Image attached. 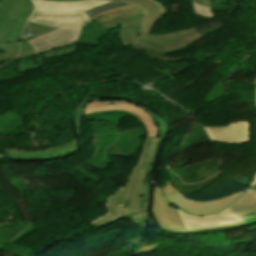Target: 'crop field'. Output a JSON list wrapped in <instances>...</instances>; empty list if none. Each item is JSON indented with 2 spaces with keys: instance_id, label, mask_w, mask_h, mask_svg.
<instances>
[{
  "instance_id": "19",
  "label": "crop field",
  "mask_w": 256,
  "mask_h": 256,
  "mask_svg": "<svg viewBox=\"0 0 256 256\" xmlns=\"http://www.w3.org/2000/svg\"><path fill=\"white\" fill-rule=\"evenodd\" d=\"M159 14H160V10L147 13L141 31L149 34L153 25L156 23V21L159 17Z\"/></svg>"
},
{
  "instance_id": "22",
  "label": "crop field",
  "mask_w": 256,
  "mask_h": 256,
  "mask_svg": "<svg viewBox=\"0 0 256 256\" xmlns=\"http://www.w3.org/2000/svg\"><path fill=\"white\" fill-rule=\"evenodd\" d=\"M91 100H102V99H92V98H89L87 100H84L82 103H80L76 109H75V122H76V127H77V133L78 135H80V121L83 117V112H82V107L83 105L88 102V101H91Z\"/></svg>"
},
{
  "instance_id": "26",
  "label": "crop field",
  "mask_w": 256,
  "mask_h": 256,
  "mask_svg": "<svg viewBox=\"0 0 256 256\" xmlns=\"http://www.w3.org/2000/svg\"><path fill=\"white\" fill-rule=\"evenodd\" d=\"M14 0H3L0 8V23L5 19Z\"/></svg>"
},
{
  "instance_id": "8",
  "label": "crop field",
  "mask_w": 256,
  "mask_h": 256,
  "mask_svg": "<svg viewBox=\"0 0 256 256\" xmlns=\"http://www.w3.org/2000/svg\"><path fill=\"white\" fill-rule=\"evenodd\" d=\"M80 35V28H58L42 36L28 40L37 53L74 43Z\"/></svg>"
},
{
  "instance_id": "5",
  "label": "crop field",
  "mask_w": 256,
  "mask_h": 256,
  "mask_svg": "<svg viewBox=\"0 0 256 256\" xmlns=\"http://www.w3.org/2000/svg\"><path fill=\"white\" fill-rule=\"evenodd\" d=\"M203 36L199 32H194L186 37L180 38L175 41L165 42V43H149L138 40V46L144 51L148 56L160 60L162 62H174L180 61L187 58L179 57H165L166 54L186 50L190 48L191 44L202 39Z\"/></svg>"
},
{
  "instance_id": "9",
  "label": "crop field",
  "mask_w": 256,
  "mask_h": 256,
  "mask_svg": "<svg viewBox=\"0 0 256 256\" xmlns=\"http://www.w3.org/2000/svg\"><path fill=\"white\" fill-rule=\"evenodd\" d=\"M212 141L223 143H245L249 141L248 122H237L222 127L207 128Z\"/></svg>"
},
{
  "instance_id": "17",
  "label": "crop field",
  "mask_w": 256,
  "mask_h": 256,
  "mask_svg": "<svg viewBox=\"0 0 256 256\" xmlns=\"http://www.w3.org/2000/svg\"><path fill=\"white\" fill-rule=\"evenodd\" d=\"M54 29H56V28L48 27V26H44V25H40V24H36V23L27 21L25 30H24V34H28L33 37H36V36L42 35L46 32L52 31Z\"/></svg>"
},
{
  "instance_id": "33",
  "label": "crop field",
  "mask_w": 256,
  "mask_h": 256,
  "mask_svg": "<svg viewBox=\"0 0 256 256\" xmlns=\"http://www.w3.org/2000/svg\"><path fill=\"white\" fill-rule=\"evenodd\" d=\"M254 184H256V175H255V177H254V179H253V181H252L250 187L253 186Z\"/></svg>"
},
{
  "instance_id": "10",
  "label": "crop field",
  "mask_w": 256,
  "mask_h": 256,
  "mask_svg": "<svg viewBox=\"0 0 256 256\" xmlns=\"http://www.w3.org/2000/svg\"><path fill=\"white\" fill-rule=\"evenodd\" d=\"M178 210V209H177ZM180 216L186 226L187 229L190 228H199V227H208L214 225H222V224H230L241 221L242 219L238 218L235 215H232L226 211L208 217H193L187 215L178 210Z\"/></svg>"
},
{
  "instance_id": "13",
  "label": "crop field",
  "mask_w": 256,
  "mask_h": 256,
  "mask_svg": "<svg viewBox=\"0 0 256 256\" xmlns=\"http://www.w3.org/2000/svg\"><path fill=\"white\" fill-rule=\"evenodd\" d=\"M144 15H145V13L139 14V15L130 16V17H125V18H122V19L112 20V21L104 23L103 26L111 29V28L121 24L122 27L120 29V39H121L123 45H125V46H129V45L136 46V44L132 43L129 40V38L127 36V31H128L130 26L142 22V19H143Z\"/></svg>"
},
{
  "instance_id": "20",
  "label": "crop field",
  "mask_w": 256,
  "mask_h": 256,
  "mask_svg": "<svg viewBox=\"0 0 256 256\" xmlns=\"http://www.w3.org/2000/svg\"><path fill=\"white\" fill-rule=\"evenodd\" d=\"M126 5H130V4L111 2V3H108L106 5L98 6V7H95L93 9H91V10L85 11V13L88 17L91 18V17L95 16L97 13H99L101 11H105V10H109V9H113V8H117V7H121V6H126Z\"/></svg>"
},
{
  "instance_id": "1",
  "label": "crop field",
  "mask_w": 256,
  "mask_h": 256,
  "mask_svg": "<svg viewBox=\"0 0 256 256\" xmlns=\"http://www.w3.org/2000/svg\"><path fill=\"white\" fill-rule=\"evenodd\" d=\"M36 9L29 21L36 23L72 28L81 27L91 21L83 11L94 6L106 4L102 0H84L76 2H51L44 0H33Z\"/></svg>"
},
{
  "instance_id": "29",
  "label": "crop field",
  "mask_w": 256,
  "mask_h": 256,
  "mask_svg": "<svg viewBox=\"0 0 256 256\" xmlns=\"http://www.w3.org/2000/svg\"><path fill=\"white\" fill-rule=\"evenodd\" d=\"M242 224H246V222L244 220H242L241 222L236 223V224L215 226V227H209V228H200V229H190L188 231H202V230H205V229H216V228L232 227V226H238V225H242Z\"/></svg>"
},
{
  "instance_id": "18",
  "label": "crop field",
  "mask_w": 256,
  "mask_h": 256,
  "mask_svg": "<svg viewBox=\"0 0 256 256\" xmlns=\"http://www.w3.org/2000/svg\"><path fill=\"white\" fill-rule=\"evenodd\" d=\"M19 46H20V41L4 43V45L1 47V49L4 50L6 53L0 54V62H4V61L10 60V59H13L15 56H17Z\"/></svg>"
},
{
  "instance_id": "16",
  "label": "crop field",
  "mask_w": 256,
  "mask_h": 256,
  "mask_svg": "<svg viewBox=\"0 0 256 256\" xmlns=\"http://www.w3.org/2000/svg\"><path fill=\"white\" fill-rule=\"evenodd\" d=\"M194 31L196 30L192 28L183 32H176L168 35H148V34L140 33L138 39L149 41V42H165V41L178 39Z\"/></svg>"
},
{
  "instance_id": "28",
  "label": "crop field",
  "mask_w": 256,
  "mask_h": 256,
  "mask_svg": "<svg viewBox=\"0 0 256 256\" xmlns=\"http://www.w3.org/2000/svg\"><path fill=\"white\" fill-rule=\"evenodd\" d=\"M179 191L176 187H174L169 181L166 186L163 187V193L165 198L175 192Z\"/></svg>"
},
{
  "instance_id": "12",
  "label": "crop field",
  "mask_w": 256,
  "mask_h": 256,
  "mask_svg": "<svg viewBox=\"0 0 256 256\" xmlns=\"http://www.w3.org/2000/svg\"><path fill=\"white\" fill-rule=\"evenodd\" d=\"M76 149V144L74 140L72 142L66 143L57 148H50L41 151H20V150H11V149H3L4 152L12 155V156H20V157H48V156H57L62 155L68 152H71Z\"/></svg>"
},
{
  "instance_id": "15",
  "label": "crop field",
  "mask_w": 256,
  "mask_h": 256,
  "mask_svg": "<svg viewBox=\"0 0 256 256\" xmlns=\"http://www.w3.org/2000/svg\"><path fill=\"white\" fill-rule=\"evenodd\" d=\"M160 244L161 243L151 245L138 234L126 244L124 248V252L129 256H135L139 253H144V252L150 253L156 250Z\"/></svg>"
},
{
  "instance_id": "32",
  "label": "crop field",
  "mask_w": 256,
  "mask_h": 256,
  "mask_svg": "<svg viewBox=\"0 0 256 256\" xmlns=\"http://www.w3.org/2000/svg\"><path fill=\"white\" fill-rule=\"evenodd\" d=\"M194 2H198L200 4H204V5H207L209 7H211V1L210 0H192Z\"/></svg>"
},
{
  "instance_id": "23",
  "label": "crop field",
  "mask_w": 256,
  "mask_h": 256,
  "mask_svg": "<svg viewBox=\"0 0 256 256\" xmlns=\"http://www.w3.org/2000/svg\"><path fill=\"white\" fill-rule=\"evenodd\" d=\"M113 1H128L142 6L144 9L149 11L158 10L159 8L149 0H113Z\"/></svg>"
},
{
  "instance_id": "14",
  "label": "crop field",
  "mask_w": 256,
  "mask_h": 256,
  "mask_svg": "<svg viewBox=\"0 0 256 256\" xmlns=\"http://www.w3.org/2000/svg\"><path fill=\"white\" fill-rule=\"evenodd\" d=\"M138 168H133L132 174L126 184L125 187H119L116 192L113 195H110L109 198L110 200H106V202L113 203L119 206L123 207H128L130 196H131V191L132 187L134 184V180L136 177Z\"/></svg>"
},
{
  "instance_id": "30",
  "label": "crop field",
  "mask_w": 256,
  "mask_h": 256,
  "mask_svg": "<svg viewBox=\"0 0 256 256\" xmlns=\"http://www.w3.org/2000/svg\"><path fill=\"white\" fill-rule=\"evenodd\" d=\"M153 3H155L160 9H161V14H160V17L164 14H166V8L157 0H151ZM160 19V18H159ZM158 19V20H159Z\"/></svg>"
},
{
  "instance_id": "27",
  "label": "crop field",
  "mask_w": 256,
  "mask_h": 256,
  "mask_svg": "<svg viewBox=\"0 0 256 256\" xmlns=\"http://www.w3.org/2000/svg\"><path fill=\"white\" fill-rule=\"evenodd\" d=\"M133 8H138V6H136V5H130V6H126V7H121V8L109 10V11H106V12L99 13L98 15H96L95 17H93V18H91V19H92V20H95L97 17H99V16H101V15H103V14L113 13V12H119V11H122V10H128V9H133Z\"/></svg>"
},
{
  "instance_id": "34",
  "label": "crop field",
  "mask_w": 256,
  "mask_h": 256,
  "mask_svg": "<svg viewBox=\"0 0 256 256\" xmlns=\"http://www.w3.org/2000/svg\"><path fill=\"white\" fill-rule=\"evenodd\" d=\"M52 1H75V0H52Z\"/></svg>"
},
{
  "instance_id": "3",
  "label": "crop field",
  "mask_w": 256,
  "mask_h": 256,
  "mask_svg": "<svg viewBox=\"0 0 256 256\" xmlns=\"http://www.w3.org/2000/svg\"><path fill=\"white\" fill-rule=\"evenodd\" d=\"M152 162L139 160L135 167H139L132 197L128 209L105 203L108 213L93 221L97 228L112 223L120 218L127 217L132 222L147 215V197L149 185V170ZM131 222V223H132Z\"/></svg>"
},
{
  "instance_id": "11",
  "label": "crop field",
  "mask_w": 256,
  "mask_h": 256,
  "mask_svg": "<svg viewBox=\"0 0 256 256\" xmlns=\"http://www.w3.org/2000/svg\"><path fill=\"white\" fill-rule=\"evenodd\" d=\"M227 210L245 220L256 217V191L249 189L239 202Z\"/></svg>"
},
{
  "instance_id": "36",
  "label": "crop field",
  "mask_w": 256,
  "mask_h": 256,
  "mask_svg": "<svg viewBox=\"0 0 256 256\" xmlns=\"http://www.w3.org/2000/svg\"><path fill=\"white\" fill-rule=\"evenodd\" d=\"M252 189L256 190V185H254L253 187H251Z\"/></svg>"
},
{
  "instance_id": "35",
  "label": "crop field",
  "mask_w": 256,
  "mask_h": 256,
  "mask_svg": "<svg viewBox=\"0 0 256 256\" xmlns=\"http://www.w3.org/2000/svg\"><path fill=\"white\" fill-rule=\"evenodd\" d=\"M254 220H256V218L251 219V220H247V222L249 223V222L254 221Z\"/></svg>"
},
{
  "instance_id": "31",
  "label": "crop field",
  "mask_w": 256,
  "mask_h": 256,
  "mask_svg": "<svg viewBox=\"0 0 256 256\" xmlns=\"http://www.w3.org/2000/svg\"><path fill=\"white\" fill-rule=\"evenodd\" d=\"M14 20H11L6 26L5 28L1 31L0 33V38L5 34V32L14 24Z\"/></svg>"
},
{
  "instance_id": "2",
  "label": "crop field",
  "mask_w": 256,
  "mask_h": 256,
  "mask_svg": "<svg viewBox=\"0 0 256 256\" xmlns=\"http://www.w3.org/2000/svg\"><path fill=\"white\" fill-rule=\"evenodd\" d=\"M113 109L130 111L142 120L147 134L139 159L152 161L159 140L166 131L164 122L139 105L119 100L91 101L84 105L83 111L87 114Z\"/></svg>"
},
{
  "instance_id": "4",
  "label": "crop field",
  "mask_w": 256,
  "mask_h": 256,
  "mask_svg": "<svg viewBox=\"0 0 256 256\" xmlns=\"http://www.w3.org/2000/svg\"><path fill=\"white\" fill-rule=\"evenodd\" d=\"M244 192L235 193L231 196L223 197L210 202H198L190 200L180 192H177L166 198L170 204L182 209L183 211L195 216H206L216 214L229 205L236 202Z\"/></svg>"
},
{
  "instance_id": "25",
  "label": "crop field",
  "mask_w": 256,
  "mask_h": 256,
  "mask_svg": "<svg viewBox=\"0 0 256 256\" xmlns=\"http://www.w3.org/2000/svg\"><path fill=\"white\" fill-rule=\"evenodd\" d=\"M75 49H76V47L73 46L70 48L63 49V50L45 53L44 56L46 59H48V58H52V57H56V56L68 55V54H72L73 52H75Z\"/></svg>"
},
{
  "instance_id": "21",
  "label": "crop field",
  "mask_w": 256,
  "mask_h": 256,
  "mask_svg": "<svg viewBox=\"0 0 256 256\" xmlns=\"http://www.w3.org/2000/svg\"><path fill=\"white\" fill-rule=\"evenodd\" d=\"M192 8H193V12L198 16H202L207 19L215 18L212 8H209L197 3H193V2H192Z\"/></svg>"
},
{
  "instance_id": "24",
  "label": "crop field",
  "mask_w": 256,
  "mask_h": 256,
  "mask_svg": "<svg viewBox=\"0 0 256 256\" xmlns=\"http://www.w3.org/2000/svg\"><path fill=\"white\" fill-rule=\"evenodd\" d=\"M36 54L34 49L30 46V44L27 41H22V47L20 50V53L17 58L20 59L22 57L30 56Z\"/></svg>"
},
{
  "instance_id": "7",
  "label": "crop field",
  "mask_w": 256,
  "mask_h": 256,
  "mask_svg": "<svg viewBox=\"0 0 256 256\" xmlns=\"http://www.w3.org/2000/svg\"><path fill=\"white\" fill-rule=\"evenodd\" d=\"M153 212L162 228L179 232L186 231L176 208L164 198L162 188L155 187Z\"/></svg>"
},
{
  "instance_id": "6",
  "label": "crop field",
  "mask_w": 256,
  "mask_h": 256,
  "mask_svg": "<svg viewBox=\"0 0 256 256\" xmlns=\"http://www.w3.org/2000/svg\"><path fill=\"white\" fill-rule=\"evenodd\" d=\"M34 5L31 0H15L8 16L0 24V31L11 20H17L15 24L0 39V47L4 42L18 41L21 38L23 26L31 14Z\"/></svg>"
}]
</instances>
